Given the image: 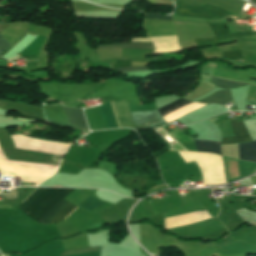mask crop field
Instances as JSON below:
<instances>
[{"label":"crop field","mask_w":256,"mask_h":256,"mask_svg":"<svg viewBox=\"0 0 256 256\" xmlns=\"http://www.w3.org/2000/svg\"><path fill=\"white\" fill-rule=\"evenodd\" d=\"M74 189L38 188L18 207L29 217L42 223L48 211Z\"/></svg>","instance_id":"obj_1"},{"label":"crop field","mask_w":256,"mask_h":256,"mask_svg":"<svg viewBox=\"0 0 256 256\" xmlns=\"http://www.w3.org/2000/svg\"><path fill=\"white\" fill-rule=\"evenodd\" d=\"M45 120L61 126H70L88 130L82 109L64 107L61 105L42 106ZM69 126V127H70Z\"/></svg>","instance_id":"obj_2"},{"label":"crop field","mask_w":256,"mask_h":256,"mask_svg":"<svg viewBox=\"0 0 256 256\" xmlns=\"http://www.w3.org/2000/svg\"><path fill=\"white\" fill-rule=\"evenodd\" d=\"M68 203V201L66 200H61L59 204L55 205L47 214L45 220L43 223H50L52 218L55 216V214L61 209L63 208L66 204ZM104 203L92 198L91 196L88 197L86 200H84L83 202H81L79 205V207L84 208L88 211H91L101 205H103ZM77 207L68 203L63 209H61L56 216L53 218L51 223L57 222V221H61L63 220L66 216H68L73 210H75ZM74 212V211H73ZM67 218V217H66Z\"/></svg>","instance_id":"obj_3"},{"label":"crop field","mask_w":256,"mask_h":256,"mask_svg":"<svg viewBox=\"0 0 256 256\" xmlns=\"http://www.w3.org/2000/svg\"><path fill=\"white\" fill-rule=\"evenodd\" d=\"M130 114L134 120L136 129H146L165 123V121L158 114L157 110L147 112H132Z\"/></svg>","instance_id":"obj_4"},{"label":"crop field","mask_w":256,"mask_h":256,"mask_svg":"<svg viewBox=\"0 0 256 256\" xmlns=\"http://www.w3.org/2000/svg\"><path fill=\"white\" fill-rule=\"evenodd\" d=\"M231 124L235 137L222 138V144L251 141V138L241 121L231 120Z\"/></svg>","instance_id":"obj_5"},{"label":"crop field","mask_w":256,"mask_h":256,"mask_svg":"<svg viewBox=\"0 0 256 256\" xmlns=\"http://www.w3.org/2000/svg\"><path fill=\"white\" fill-rule=\"evenodd\" d=\"M111 104L106 103V104H103V105L99 106L102 117H103V120H104L105 125H106V128L107 129H114V128H119V127L121 128L120 123H119L118 118H117V115H116V112H115V109H114L113 104H112L114 113L116 115V118H117V121H118V124H119V127H118V124H117L116 118L114 116Z\"/></svg>","instance_id":"obj_6"},{"label":"crop field","mask_w":256,"mask_h":256,"mask_svg":"<svg viewBox=\"0 0 256 256\" xmlns=\"http://www.w3.org/2000/svg\"><path fill=\"white\" fill-rule=\"evenodd\" d=\"M239 159L256 162V141L248 144H238Z\"/></svg>","instance_id":"obj_7"},{"label":"crop field","mask_w":256,"mask_h":256,"mask_svg":"<svg viewBox=\"0 0 256 256\" xmlns=\"http://www.w3.org/2000/svg\"><path fill=\"white\" fill-rule=\"evenodd\" d=\"M44 39V36L38 35V37L33 40L29 46L21 51L19 57L37 56Z\"/></svg>","instance_id":"obj_8"},{"label":"crop field","mask_w":256,"mask_h":256,"mask_svg":"<svg viewBox=\"0 0 256 256\" xmlns=\"http://www.w3.org/2000/svg\"><path fill=\"white\" fill-rule=\"evenodd\" d=\"M232 100V97H231V93L229 90H225V91H219L213 95H211L210 97L204 99V100H201L199 102H202V103H218V104H225L227 103L228 101Z\"/></svg>","instance_id":"obj_9"},{"label":"crop field","mask_w":256,"mask_h":256,"mask_svg":"<svg viewBox=\"0 0 256 256\" xmlns=\"http://www.w3.org/2000/svg\"><path fill=\"white\" fill-rule=\"evenodd\" d=\"M198 151L220 154V142L194 140Z\"/></svg>","instance_id":"obj_10"},{"label":"crop field","mask_w":256,"mask_h":256,"mask_svg":"<svg viewBox=\"0 0 256 256\" xmlns=\"http://www.w3.org/2000/svg\"><path fill=\"white\" fill-rule=\"evenodd\" d=\"M109 48H139L153 50L151 43H127V44H109L99 45L98 49H109Z\"/></svg>","instance_id":"obj_11"},{"label":"crop field","mask_w":256,"mask_h":256,"mask_svg":"<svg viewBox=\"0 0 256 256\" xmlns=\"http://www.w3.org/2000/svg\"><path fill=\"white\" fill-rule=\"evenodd\" d=\"M190 103H192V102L182 100V99H178L174 102H171V103H169L165 106H162V107L158 108V110H159L160 114L163 117V116H165V115H167V114H169V113H171V112H173V111H175V110H177V109H179V108H181V107H183L187 104H190Z\"/></svg>","instance_id":"obj_12"},{"label":"crop field","mask_w":256,"mask_h":256,"mask_svg":"<svg viewBox=\"0 0 256 256\" xmlns=\"http://www.w3.org/2000/svg\"><path fill=\"white\" fill-rule=\"evenodd\" d=\"M210 82H213L217 86L223 87V88H226V89H233V88H237V87H240V86L247 85L245 83H240V82H235V81H228V80H222V79H218V78H214V77H212Z\"/></svg>","instance_id":"obj_13"},{"label":"crop field","mask_w":256,"mask_h":256,"mask_svg":"<svg viewBox=\"0 0 256 256\" xmlns=\"http://www.w3.org/2000/svg\"><path fill=\"white\" fill-rule=\"evenodd\" d=\"M242 167L243 175L247 176L256 172V163L248 161H239Z\"/></svg>","instance_id":"obj_14"},{"label":"crop field","mask_w":256,"mask_h":256,"mask_svg":"<svg viewBox=\"0 0 256 256\" xmlns=\"http://www.w3.org/2000/svg\"><path fill=\"white\" fill-rule=\"evenodd\" d=\"M129 107V112L132 111H147V110H154L156 109L155 103L149 104V105H144V106H137V105H130L127 104Z\"/></svg>","instance_id":"obj_15"},{"label":"crop field","mask_w":256,"mask_h":256,"mask_svg":"<svg viewBox=\"0 0 256 256\" xmlns=\"http://www.w3.org/2000/svg\"><path fill=\"white\" fill-rule=\"evenodd\" d=\"M145 18L162 19V20H170V21H173L172 18H171V16H162V15L146 14Z\"/></svg>","instance_id":"obj_16"},{"label":"crop field","mask_w":256,"mask_h":256,"mask_svg":"<svg viewBox=\"0 0 256 256\" xmlns=\"http://www.w3.org/2000/svg\"><path fill=\"white\" fill-rule=\"evenodd\" d=\"M115 70L125 72V71L148 70V69L146 67H126V68H120Z\"/></svg>","instance_id":"obj_17"},{"label":"crop field","mask_w":256,"mask_h":256,"mask_svg":"<svg viewBox=\"0 0 256 256\" xmlns=\"http://www.w3.org/2000/svg\"><path fill=\"white\" fill-rule=\"evenodd\" d=\"M10 45L5 41V39L0 35V54L8 48Z\"/></svg>","instance_id":"obj_18"}]
</instances>
